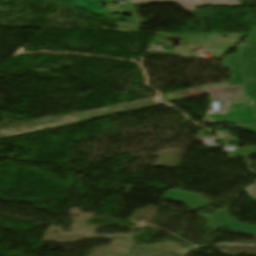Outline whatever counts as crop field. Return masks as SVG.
Here are the masks:
<instances>
[{
  "instance_id": "ac0d7876",
  "label": "crop field",
  "mask_w": 256,
  "mask_h": 256,
  "mask_svg": "<svg viewBox=\"0 0 256 256\" xmlns=\"http://www.w3.org/2000/svg\"><path fill=\"white\" fill-rule=\"evenodd\" d=\"M249 44L248 47H244ZM240 48L239 55L244 65L245 92L251 101L256 98V28Z\"/></svg>"
},
{
  "instance_id": "d8731c3e",
  "label": "crop field",
  "mask_w": 256,
  "mask_h": 256,
  "mask_svg": "<svg viewBox=\"0 0 256 256\" xmlns=\"http://www.w3.org/2000/svg\"><path fill=\"white\" fill-rule=\"evenodd\" d=\"M248 103H250V102H247V103H244V104H241V105H246V104H248ZM241 105H239V106H241ZM237 107V106H236ZM233 108H235V107H233Z\"/></svg>"
},
{
  "instance_id": "dd49c442",
  "label": "crop field",
  "mask_w": 256,
  "mask_h": 256,
  "mask_svg": "<svg viewBox=\"0 0 256 256\" xmlns=\"http://www.w3.org/2000/svg\"><path fill=\"white\" fill-rule=\"evenodd\" d=\"M164 198L183 202L193 210L208 205V202L203 200L200 196L184 193L178 190H169L168 192H166Z\"/></svg>"
},
{
  "instance_id": "412701ff",
  "label": "crop field",
  "mask_w": 256,
  "mask_h": 256,
  "mask_svg": "<svg viewBox=\"0 0 256 256\" xmlns=\"http://www.w3.org/2000/svg\"><path fill=\"white\" fill-rule=\"evenodd\" d=\"M201 216L210 221L207 224L213 230L220 227H227L231 231L256 235V227L240 224L222 210L211 215L202 214Z\"/></svg>"
},
{
  "instance_id": "8a807250",
  "label": "crop field",
  "mask_w": 256,
  "mask_h": 256,
  "mask_svg": "<svg viewBox=\"0 0 256 256\" xmlns=\"http://www.w3.org/2000/svg\"><path fill=\"white\" fill-rule=\"evenodd\" d=\"M224 68H230L232 77L225 86L203 85L212 100H225L226 104L246 102L242 91L243 78L238 55L226 56L221 61Z\"/></svg>"
},
{
  "instance_id": "e52e79f7",
  "label": "crop field",
  "mask_w": 256,
  "mask_h": 256,
  "mask_svg": "<svg viewBox=\"0 0 256 256\" xmlns=\"http://www.w3.org/2000/svg\"><path fill=\"white\" fill-rule=\"evenodd\" d=\"M75 6H78L82 9L92 11L104 18L117 21L119 17L111 15L108 11L102 8L98 4V0H70Z\"/></svg>"
},
{
  "instance_id": "5a996713",
  "label": "crop field",
  "mask_w": 256,
  "mask_h": 256,
  "mask_svg": "<svg viewBox=\"0 0 256 256\" xmlns=\"http://www.w3.org/2000/svg\"><path fill=\"white\" fill-rule=\"evenodd\" d=\"M248 106H251V104H249V105H246V106H242V107H248ZM237 108H240V107H237Z\"/></svg>"
},
{
  "instance_id": "34b2d1b8",
  "label": "crop field",
  "mask_w": 256,
  "mask_h": 256,
  "mask_svg": "<svg viewBox=\"0 0 256 256\" xmlns=\"http://www.w3.org/2000/svg\"><path fill=\"white\" fill-rule=\"evenodd\" d=\"M215 122H233L240 128L256 133V99L252 107L211 113L207 118V123Z\"/></svg>"
},
{
  "instance_id": "f4fd0767",
  "label": "crop field",
  "mask_w": 256,
  "mask_h": 256,
  "mask_svg": "<svg viewBox=\"0 0 256 256\" xmlns=\"http://www.w3.org/2000/svg\"><path fill=\"white\" fill-rule=\"evenodd\" d=\"M131 3L176 2L186 11L195 10L200 5H240L238 0H130Z\"/></svg>"
}]
</instances>
